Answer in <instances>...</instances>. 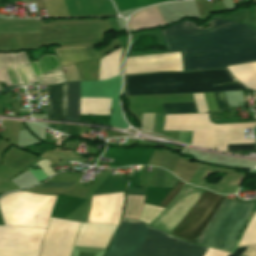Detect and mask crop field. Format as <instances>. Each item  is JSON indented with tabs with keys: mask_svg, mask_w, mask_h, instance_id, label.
I'll use <instances>...</instances> for the list:
<instances>
[{
	"mask_svg": "<svg viewBox=\"0 0 256 256\" xmlns=\"http://www.w3.org/2000/svg\"><path fill=\"white\" fill-rule=\"evenodd\" d=\"M161 34L167 52L182 51L184 71L256 60V31L220 18L199 27L183 21L161 30Z\"/></svg>",
	"mask_w": 256,
	"mask_h": 256,
	"instance_id": "obj_1",
	"label": "crop field"
},
{
	"mask_svg": "<svg viewBox=\"0 0 256 256\" xmlns=\"http://www.w3.org/2000/svg\"><path fill=\"white\" fill-rule=\"evenodd\" d=\"M224 196L205 191L186 217L169 234L184 241H197ZM254 202L224 200L196 244L232 251Z\"/></svg>",
	"mask_w": 256,
	"mask_h": 256,
	"instance_id": "obj_2",
	"label": "crop field"
},
{
	"mask_svg": "<svg viewBox=\"0 0 256 256\" xmlns=\"http://www.w3.org/2000/svg\"><path fill=\"white\" fill-rule=\"evenodd\" d=\"M125 80V96L246 89L241 84L213 86L235 81L227 70L129 75L125 76Z\"/></svg>",
	"mask_w": 256,
	"mask_h": 256,
	"instance_id": "obj_3",
	"label": "crop field"
},
{
	"mask_svg": "<svg viewBox=\"0 0 256 256\" xmlns=\"http://www.w3.org/2000/svg\"><path fill=\"white\" fill-rule=\"evenodd\" d=\"M156 231L138 221L122 219L106 256H135ZM206 250L158 231L137 256H203Z\"/></svg>",
	"mask_w": 256,
	"mask_h": 256,
	"instance_id": "obj_4",
	"label": "crop field"
},
{
	"mask_svg": "<svg viewBox=\"0 0 256 256\" xmlns=\"http://www.w3.org/2000/svg\"><path fill=\"white\" fill-rule=\"evenodd\" d=\"M255 123L215 125L208 114L166 115L164 130L193 131L191 144L226 151L227 144L255 143L245 139L244 128Z\"/></svg>",
	"mask_w": 256,
	"mask_h": 256,
	"instance_id": "obj_5",
	"label": "crop field"
},
{
	"mask_svg": "<svg viewBox=\"0 0 256 256\" xmlns=\"http://www.w3.org/2000/svg\"><path fill=\"white\" fill-rule=\"evenodd\" d=\"M57 196L16 192L0 199L5 225L46 228Z\"/></svg>",
	"mask_w": 256,
	"mask_h": 256,
	"instance_id": "obj_6",
	"label": "crop field"
},
{
	"mask_svg": "<svg viewBox=\"0 0 256 256\" xmlns=\"http://www.w3.org/2000/svg\"><path fill=\"white\" fill-rule=\"evenodd\" d=\"M158 71H182L180 52L127 58L124 74Z\"/></svg>",
	"mask_w": 256,
	"mask_h": 256,
	"instance_id": "obj_7",
	"label": "crop field"
},
{
	"mask_svg": "<svg viewBox=\"0 0 256 256\" xmlns=\"http://www.w3.org/2000/svg\"><path fill=\"white\" fill-rule=\"evenodd\" d=\"M41 243L0 239V256H38Z\"/></svg>",
	"mask_w": 256,
	"mask_h": 256,
	"instance_id": "obj_8",
	"label": "crop field"
},
{
	"mask_svg": "<svg viewBox=\"0 0 256 256\" xmlns=\"http://www.w3.org/2000/svg\"><path fill=\"white\" fill-rule=\"evenodd\" d=\"M67 83L48 86V118L66 119Z\"/></svg>",
	"mask_w": 256,
	"mask_h": 256,
	"instance_id": "obj_9",
	"label": "crop field"
},
{
	"mask_svg": "<svg viewBox=\"0 0 256 256\" xmlns=\"http://www.w3.org/2000/svg\"><path fill=\"white\" fill-rule=\"evenodd\" d=\"M53 50L57 55L62 67L70 63L99 57L94 46L56 48Z\"/></svg>",
	"mask_w": 256,
	"mask_h": 256,
	"instance_id": "obj_10",
	"label": "crop field"
},
{
	"mask_svg": "<svg viewBox=\"0 0 256 256\" xmlns=\"http://www.w3.org/2000/svg\"><path fill=\"white\" fill-rule=\"evenodd\" d=\"M46 229L0 226V238L42 241Z\"/></svg>",
	"mask_w": 256,
	"mask_h": 256,
	"instance_id": "obj_11",
	"label": "crop field"
},
{
	"mask_svg": "<svg viewBox=\"0 0 256 256\" xmlns=\"http://www.w3.org/2000/svg\"><path fill=\"white\" fill-rule=\"evenodd\" d=\"M232 75L252 90H256V62L227 67Z\"/></svg>",
	"mask_w": 256,
	"mask_h": 256,
	"instance_id": "obj_12",
	"label": "crop field"
},
{
	"mask_svg": "<svg viewBox=\"0 0 256 256\" xmlns=\"http://www.w3.org/2000/svg\"><path fill=\"white\" fill-rule=\"evenodd\" d=\"M121 48L100 59L99 80H106L119 75Z\"/></svg>",
	"mask_w": 256,
	"mask_h": 256,
	"instance_id": "obj_13",
	"label": "crop field"
},
{
	"mask_svg": "<svg viewBox=\"0 0 256 256\" xmlns=\"http://www.w3.org/2000/svg\"><path fill=\"white\" fill-rule=\"evenodd\" d=\"M110 101L106 98H80V114H110Z\"/></svg>",
	"mask_w": 256,
	"mask_h": 256,
	"instance_id": "obj_14",
	"label": "crop field"
},
{
	"mask_svg": "<svg viewBox=\"0 0 256 256\" xmlns=\"http://www.w3.org/2000/svg\"><path fill=\"white\" fill-rule=\"evenodd\" d=\"M67 119L79 120V82L68 83Z\"/></svg>",
	"mask_w": 256,
	"mask_h": 256,
	"instance_id": "obj_15",
	"label": "crop field"
},
{
	"mask_svg": "<svg viewBox=\"0 0 256 256\" xmlns=\"http://www.w3.org/2000/svg\"><path fill=\"white\" fill-rule=\"evenodd\" d=\"M220 111H228L227 102L223 92L214 93ZM213 93H203L209 112L219 111Z\"/></svg>",
	"mask_w": 256,
	"mask_h": 256,
	"instance_id": "obj_16",
	"label": "crop field"
},
{
	"mask_svg": "<svg viewBox=\"0 0 256 256\" xmlns=\"http://www.w3.org/2000/svg\"><path fill=\"white\" fill-rule=\"evenodd\" d=\"M81 175H58L48 181H78ZM76 182H45L37 187H70Z\"/></svg>",
	"mask_w": 256,
	"mask_h": 256,
	"instance_id": "obj_17",
	"label": "crop field"
},
{
	"mask_svg": "<svg viewBox=\"0 0 256 256\" xmlns=\"http://www.w3.org/2000/svg\"><path fill=\"white\" fill-rule=\"evenodd\" d=\"M256 244V213L253 215L237 247Z\"/></svg>",
	"mask_w": 256,
	"mask_h": 256,
	"instance_id": "obj_18",
	"label": "crop field"
},
{
	"mask_svg": "<svg viewBox=\"0 0 256 256\" xmlns=\"http://www.w3.org/2000/svg\"><path fill=\"white\" fill-rule=\"evenodd\" d=\"M164 109L195 107L193 103H168L163 104ZM165 113H197L195 108L164 110Z\"/></svg>",
	"mask_w": 256,
	"mask_h": 256,
	"instance_id": "obj_19",
	"label": "crop field"
},
{
	"mask_svg": "<svg viewBox=\"0 0 256 256\" xmlns=\"http://www.w3.org/2000/svg\"><path fill=\"white\" fill-rule=\"evenodd\" d=\"M246 248H247V246L237 248L235 253L232 255H231V253H227V252H223V251H220L217 249L209 248V250L206 252V254L204 256H230V255L231 256H241Z\"/></svg>",
	"mask_w": 256,
	"mask_h": 256,
	"instance_id": "obj_20",
	"label": "crop field"
},
{
	"mask_svg": "<svg viewBox=\"0 0 256 256\" xmlns=\"http://www.w3.org/2000/svg\"><path fill=\"white\" fill-rule=\"evenodd\" d=\"M184 183L179 181V183L176 185L175 189L172 190L168 193V195L165 197V199L161 202L159 205L160 207L166 208L168 203L171 201V199L175 196V194L179 191V189L182 187Z\"/></svg>",
	"mask_w": 256,
	"mask_h": 256,
	"instance_id": "obj_21",
	"label": "crop field"
},
{
	"mask_svg": "<svg viewBox=\"0 0 256 256\" xmlns=\"http://www.w3.org/2000/svg\"><path fill=\"white\" fill-rule=\"evenodd\" d=\"M256 149L254 144L228 145L227 151Z\"/></svg>",
	"mask_w": 256,
	"mask_h": 256,
	"instance_id": "obj_22",
	"label": "crop field"
},
{
	"mask_svg": "<svg viewBox=\"0 0 256 256\" xmlns=\"http://www.w3.org/2000/svg\"><path fill=\"white\" fill-rule=\"evenodd\" d=\"M192 132H179L177 141L190 144Z\"/></svg>",
	"mask_w": 256,
	"mask_h": 256,
	"instance_id": "obj_23",
	"label": "crop field"
},
{
	"mask_svg": "<svg viewBox=\"0 0 256 256\" xmlns=\"http://www.w3.org/2000/svg\"><path fill=\"white\" fill-rule=\"evenodd\" d=\"M244 256H256V245L248 246L246 251L243 253Z\"/></svg>",
	"mask_w": 256,
	"mask_h": 256,
	"instance_id": "obj_24",
	"label": "crop field"
},
{
	"mask_svg": "<svg viewBox=\"0 0 256 256\" xmlns=\"http://www.w3.org/2000/svg\"><path fill=\"white\" fill-rule=\"evenodd\" d=\"M48 127L66 134V126L48 124Z\"/></svg>",
	"mask_w": 256,
	"mask_h": 256,
	"instance_id": "obj_25",
	"label": "crop field"
}]
</instances>
